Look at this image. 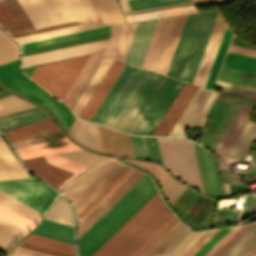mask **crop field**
I'll list each match as a JSON object with an SVG mask.
<instances>
[{
	"label": "crop field",
	"mask_w": 256,
	"mask_h": 256,
	"mask_svg": "<svg viewBox=\"0 0 256 256\" xmlns=\"http://www.w3.org/2000/svg\"><path fill=\"white\" fill-rule=\"evenodd\" d=\"M231 36H232V33H231L229 27L227 26V29H226V31H225L223 40H222V42H221L219 51H218L217 56H216V59H215V61H214L212 70H211V72H210L208 81H207V83H206V86H205L206 88H209V89H212V88H213V85H214V83H215L217 74H218V72H219L221 63H222V61H223L225 52H226V50H227L229 41H230V39H231Z\"/></svg>",
	"instance_id": "c21b1889"
},
{
	"label": "crop field",
	"mask_w": 256,
	"mask_h": 256,
	"mask_svg": "<svg viewBox=\"0 0 256 256\" xmlns=\"http://www.w3.org/2000/svg\"><path fill=\"white\" fill-rule=\"evenodd\" d=\"M58 155L64 158H67L69 160L75 161L77 163H80L82 165H85L89 168L101 160L108 159V157H103V156L88 152L84 149L67 152L63 154H58Z\"/></svg>",
	"instance_id": "5d738f31"
},
{
	"label": "crop field",
	"mask_w": 256,
	"mask_h": 256,
	"mask_svg": "<svg viewBox=\"0 0 256 256\" xmlns=\"http://www.w3.org/2000/svg\"><path fill=\"white\" fill-rule=\"evenodd\" d=\"M212 1H219V0H193L194 4L212 2Z\"/></svg>",
	"instance_id": "c3a83c6f"
},
{
	"label": "crop field",
	"mask_w": 256,
	"mask_h": 256,
	"mask_svg": "<svg viewBox=\"0 0 256 256\" xmlns=\"http://www.w3.org/2000/svg\"><path fill=\"white\" fill-rule=\"evenodd\" d=\"M18 63L19 59L0 65V83L45 107L67 131L73 120L70 112L58 101L50 98L47 92L22 75L18 69Z\"/></svg>",
	"instance_id": "f4fd0767"
},
{
	"label": "crop field",
	"mask_w": 256,
	"mask_h": 256,
	"mask_svg": "<svg viewBox=\"0 0 256 256\" xmlns=\"http://www.w3.org/2000/svg\"><path fill=\"white\" fill-rule=\"evenodd\" d=\"M45 119H49V117L39 108L35 107L26 111L0 117V130L3 131Z\"/></svg>",
	"instance_id": "ae1a2a85"
},
{
	"label": "crop field",
	"mask_w": 256,
	"mask_h": 256,
	"mask_svg": "<svg viewBox=\"0 0 256 256\" xmlns=\"http://www.w3.org/2000/svg\"><path fill=\"white\" fill-rule=\"evenodd\" d=\"M107 40L77 45L23 57L22 67L105 50Z\"/></svg>",
	"instance_id": "cbeb9de0"
},
{
	"label": "crop field",
	"mask_w": 256,
	"mask_h": 256,
	"mask_svg": "<svg viewBox=\"0 0 256 256\" xmlns=\"http://www.w3.org/2000/svg\"><path fill=\"white\" fill-rule=\"evenodd\" d=\"M2 138L0 137V140H1Z\"/></svg>",
	"instance_id": "7312dd0a"
},
{
	"label": "crop field",
	"mask_w": 256,
	"mask_h": 256,
	"mask_svg": "<svg viewBox=\"0 0 256 256\" xmlns=\"http://www.w3.org/2000/svg\"><path fill=\"white\" fill-rule=\"evenodd\" d=\"M163 163L186 184L203 192L194 142L187 139L157 137Z\"/></svg>",
	"instance_id": "dd49c442"
},
{
	"label": "crop field",
	"mask_w": 256,
	"mask_h": 256,
	"mask_svg": "<svg viewBox=\"0 0 256 256\" xmlns=\"http://www.w3.org/2000/svg\"><path fill=\"white\" fill-rule=\"evenodd\" d=\"M196 12L194 5L126 16L127 23Z\"/></svg>",
	"instance_id": "028f5c9d"
},
{
	"label": "crop field",
	"mask_w": 256,
	"mask_h": 256,
	"mask_svg": "<svg viewBox=\"0 0 256 256\" xmlns=\"http://www.w3.org/2000/svg\"><path fill=\"white\" fill-rule=\"evenodd\" d=\"M220 229L211 239H209L193 256H203L222 236H224L230 229Z\"/></svg>",
	"instance_id": "db79e9e6"
},
{
	"label": "crop field",
	"mask_w": 256,
	"mask_h": 256,
	"mask_svg": "<svg viewBox=\"0 0 256 256\" xmlns=\"http://www.w3.org/2000/svg\"><path fill=\"white\" fill-rule=\"evenodd\" d=\"M256 245V239L247 246L238 256H245Z\"/></svg>",
	"instance_id": "c5b07064"
},
{
	"label": "crop field",
	"mask_w": 256,
	"mask_h": 256,
	"mask_svg": "<svg viewBox=\"0 0 256 256\" xmlns=\"http://www.w3.org/2000/svg\"><path fill=\"white\" fill-rule=\"evenodd\" d=\"M96 24L111 26L124 23L117 0H88Z\"/></svg>",
	"instance_id": "00972430"
},
{
	"label": "crop field",
	"mask_w": 256,
	"mask_h": 256,
	"mask_svg": "<svg viewBox=\"0 0 256 256\" xmlns=\"http://www.w3.org/2000/svg\"><path fill=\"white\" fill-rule=\"evenodd\" d=\"M19 237L9 233L8 231L0 228V249L8 252L10 247Z\"/></svg>",
	"instance_id": "78b8030e"
},
{
	"label": "crop field",
	"mask_w": 256,
	"mask_h": 256,
	"mask_svg": "<svg viewBox=\"0 0 256 256\" xmlns=\"http://www.w3.org/2000/svg\"><path fill=\"white\" fill-rule=\"evenodd\" d=\"M89 56L36 66L31 78L63 101Z\"/></svg>",
	"instance_id": "e52e79f7"
},
{
	"label": "crop field",
	"mask_w": 256,
	"mask_h": 256,
	"mask_svg": "<svg viewBox=\"0 0 256 256\" xmlns=\"http://www.w3.org/2000/svg\"><path fill=\"white\" fill-rule=\"evenodd\" d=\"M45 159L48 163L58 166L60 168L66 169L68 171L74 172L76 174L80 173L81 171L85 170L87 167L77 164L75 162L69 161L57 155L47 156Z\"/></svg>",
	"instance_id": "1d79db26"
},
{
	"label": "crop field",
	"mask_w": 256,
	"mask_h": 256,
	"mask_svg": "<svg viewBox=\"0 0 256 256\" xmlns=\"http://www.w3.org/2000/svg\"><path fill=\"white\" fill-rule=\"evenodd\" d=\"M0 185L46 210L57 194L35 178L0 182Z\"/></svg>",
	"instance_id": "d1516ede"
},
{
	"label": "crop field",
	"mask_w": 256,
	"mask_h": 256,
	"mask_svg": "<svg viewBox=\"0 0 256 256\" xmlns=\"http://www.w3.org/2000/svg\"><path fill=\"white\" fill-rule=\"evenodd\" d=\"M227 24L223 21L220 12L204 52L202 61L194 79V84L205 86L213 61L218 51Z\"/></svg>",
	"instance_id": "d9b57169"
},
{
	"label": "crop field",
	"mask_w": 256,
	"mask_h": 256,
	"mask_svg": "<svg viewBox=\"0 0 256 256\" xmlns=\"http://www.w3.org/2000/svg\"><path fill=\"white\" fill-rule=\"evenodd\" d=\"M0 227L8 230L9 232H11V233H13V234H15V235H17L19 237L21 235H23L25 232H27V231H25V230L15 226V225H13L12 223H10V222L2 219V218H0Z\"/></svg>",
	"instance_id": "ae633e8c"
},
{
	"label": "crop field",
	"mask_w": 256,
	"mask_h": 256,
	"mask_svg": "<svg viewBox=\"0 0 256 256\" xmlns=\"http://www.w3.org/2000/svg\"><path fill=\"white\" fill-rule=\"evenodd\" d=\"M11 256H26V255L13 252V254Z\"/></svg>",
	"instance_id": "fb207236"
},
{
	"label": "crop field",
	"mask_w": 256,
	"mask_h": 256,
	"mask_svg": "<svg viewBox=\"0 0 256 256\" xmlns=\"http://www.w3.org/2000/svg\"><path fill=\"white\" fill-rule=\"evenodd\" d=\"M201 232L193 233L184 228L179 222L144 256H177Z\"/></svg>",
	"instance_id": "22f410ed"
},
{
	"label": "crop field",
	"mask_w": 256,
	"mask_h": 256,
	"mask_svg": "<svg viewBox=\"0 0 256 256\" xmlns=\"http://www.w3.org/2000/svg\"><path fill=\"white\" fill-rule=\"evenodd\" d=\"M110 29L111 28L102 27V28L83 31V32H79V33H74V34L64 35V36H60V37L45 39V40H41V41L31 42V43H27V44H22L21 46H22V49H24V48H29V47H34V46L59 42V41H64V40H68V39H73V38H78V37H83V36L108 32V31H110Z\"/></svg>",
	"instance_id": "425ffa30"
},
{
	"label": "crop field",
	"mask_w": 256,
	"mask_h": 256,
	"mask_svg": "<svg viewBox=\"0 0 256 256\" xmlns=\"http://www.w3.org/2000/svg\"><path fill=\"white\" fill-rule=\"evenodd\" d=\"M19 58V47L0 29V64Z\"/></svg>",
	"instance_id": "b54c1fbb"
},
{
	"label": "crop field",
	"mask_w": 256,
	"mask_h": 256,
	"mask_svg": "<svg viewBox=\"0 0 256 256\" xmlns=\"http://www.w3.org/2000/svg\"><path fill=\"white\" fill-rule=\"evenodd\" d=\"M171 211L164 204L150 219H148L119 249L111 256H128L170 215ZM141 245V244H140ZM139 245V246H140ZM138 246V247H139Z\"/></svg>",
	"instance_id": "733c2abd"
},
{
	"label": "crop field",
	"mask_w": 256,
	"mask_h": 256,
	"mask_svg": "<svg viewBox=\"0 0 256 256\" xmlns=\"http://www.w3.org/2000/svg\"><path fill=\"white\" fill-rule=\"evenodd\" d=\"M182 1H188V0H124L121 2H122L123 10L127 11V10L158 6V5H164V4L176 3V2H182Z\"/></svg>",
	"instance_id": "73cf0c24"
},
{
	"label": "crop field",
	"mask_w": 256,
	"mask_h": 256,
	"mask_svg": "<svg viewBox=\"0 0 256 256\" xmlns=\"http://www.w3.org/2000/svg\"><path fill=\"white\" fill-rule=\"evenodd\" d=\"M76 149H81V147L77 146L73 142H70V143H66V144H61V145H57V146L39 149V150L22 152L19 154H20L21 158L24 160V159H28V158L58 154V153L72 151V150H76Z\"/></svg>",
	"instance_id": "d23c7cc5"
},
{
	"label": "crop field",
	"mask_w": 256,
	"mask_h": 256,
	"mask_svg": "<svg viewBox=\"0 0 256 256\" xmlns=\"http://www.w3.org/2000/svg\"><path fill=\"white\" fill-rule=\"evenodd\" d=\"M130 137H131L135 157L147 158L143 138L138 136H132V135H130Z\"/></svg>",
	"instance_id": "0f1d7ab4"
},
{
	"label": "crop field",
	"mask_w": 256,
	"mask_h": 256,
	"mask_svg": "<svg viewBox=\"0 0 256 256\" xmlns=\"http://www.w3.org/2000/svg\"><path fill=\"white\" fill-rule=\"evenodd\" d=\"M80 121H81L80 119H77V118L75 119V121H74V123H73V125H72V127H71V129L69 131V135L71 137H73V135H74V133H75V131H76Z\"/></svg>",
	"instance_id": "ade564c9"
},
{
	"label": "crop field",
	"mask_w": 256,
	"mask_h": 256,
	"mask_svg": "<svg viewBox=\"0 0 256 256\" xmlns=\"http://www.w3.org/2000/svg\"><path fill=\"white\" fill-rule=\"evenodd\" d=\"M241 226L233 227L224 237H222L204 256H211L231 235Z\"/></svg>",
	"instance_id": "c39391a2"
},
{
	"label": "crop field",
	"mask_w": 256,
	"mask_h": 256,
	"mask_svg": "<svg viewBox=\"0 0 256 256\" xmlns=\"http://www.w3.org/2000/svg\"><path fill=\"white\" fill-rule=\"evenodd\" d=\"M102 53L91 55L90 59L86 63L85 67L83 68L82 72L78 76L77 80L73 84L72 88L70 89L69 93L64 99V103L71 108L83 88L85 87L86 83L88 82L89 78L91 77L92 73L94 72L95 68L97 67L102 55Z\"/></svg>",
	"instance_id": "d3111659"
},
{
	"label": "crop field",
	"mask_w": 256,
	"mask_h": 256,
	"mask_svg": "<svg viewBox=\"0 0 256 256\" xmlns=\"http://www.w3.org/2000/svg\"><path fill=\"white\" fill-rule=\"evenodd\" d=\"M0 191L3 192V193H5V194H7V195H9V196H11V197H13V198H15L16 200H18V201H20V202H22V203L28 205L29 207H31V208H33V209H35V210H37V211H39V212H41V213H43V214H44V212L46 211V210H44V209H42V208H40V207L34 205L33 203H31V202H29V201H27V200L21 198L20 196H18V195H16V194L12 193V192H10V191H8L7 189H5V188H3V187H1V186H0Z\"/></svg>",
	"instance_id": "d14b1444"
},
{
	"label": "crop field",
	"mask_w": 256,
	"mask_h": 256,
	"mask_svg": "<svg viewBox=\"0 0 256 256\" xmlns=\"http://www.w3.org/2000/svg\"><path fill=\"white\" fill-rule=\"evenodd\" d=\"M157 20L140 22L137 24L132 41L130 43L125 62L136 66H141L152 33L154 31Z\"/></svg>",
	"instance_id": "4a817a6b"
},
{
	"label": "crop field",
	"mask_w": 256,
	"mask_h": 256,
	"mask_svg": "<svg viewBox=\"0 0 256 256\" xmlns=\"http://www.w3.org/2000/svg\"><path fill=\"white\" fill-rule=\"evenodd\" d=\"M64 136H65L64 133L62 131H60V132L48 134L45 136L29 139L26 141L14 143V146H15V148H18V147L35 144V143H39V142H43V141H47V140H52V139H56V138H60V137H64Z\"/></svg>",
	"instance_id": "7b73153f"
},
{
	"label": "crop field",
	"mask_w": 256,
	"mask_h": 256,
	"mask_svg": "<svg viewBox=\"0 0 256 256\" xmlns=\"http://www.w3.org/2000/svg\"><path fill=\"white\" fill-rule=\"evenodd\" d=\"M126 161L153 174L156 177L159 185L162 184L163 182H165L166 180H168L169 178H171L163 168H161L153 163L129 160V159H126Z\"/></svg>",
	"instance_id": "dbb93151"
},
{
	"label": "crop field",
	"mask_w": 256,
	"mask_h": 256,
	"mask_svg": "<svg viewBox=\"0 0 256 256\" xmlns=\"http://www.w3.org/2000/svg\"><path fill=\"white\" fill-rule=\"evenodd\" d=\"M33 233L73 243V227L57 222L44 219L39 228Z\"/></svg>",
	"instance_id": "1d83c4d3"
},
{
	"label": "crop field",
	"mask_w": 256,
	"mask_h": 256,
	"mask_svg": "<svg viewBox=\"0 0 256 256\" xmlns=\"http://www.w3.org/2000/svg\"><path fill=\"white\" fill-rule=\"evenodd\" d=\"M124 66L125 63L114 60L111 67L103 77L102 81L94 91L93 95L85 105L82 112L80 113V117L90 120L95 110L107 94L108 90L110 89Z\"/></svg>",
	"instance_id": "92a150f3"
},
{
	"label": "crop field",
	"mask_w": 256,
	"mask_h": 256,
	"mask_svg": "<svg viewBox=\"0 0 256 256\" xmlns=\"http://www.w3.org/2000/svg\"><path fill=\"white\" fill-rule=\"evenodd\" d=\"M140 177L141 176L127 170L95 202L106 211Z\"/></svg>",
	"instance_id": "730fd06b"
},
{
	"label": "crop field",
	"mask_w": 256,
	"mask_h": 256,
	"mask_svg": "<svg viewBox=\"0 0 256 256\" xmlns=\"http://www.w3.org/2000/svg\"><path fill=\"white\" fill-rule=\"evenodd\" d=\"M198 86L185 83L153 134L168 135L195 94Z\"/></svg>",
	"instance_id": "bc2a9ffb"
},
{
	"label": "crop field",
	"mask_w": 256,
	"mask_h": 256,
	"mask_svg": "<svg viewBox=\"0 0 256 256\" xmlns=\"http://www.w3.org/2000/svg\"><path fill=\"white\" fill-rule=\"evenodd\" d=\"M179 221L172 214L139 248L130 256H143L152 246H154L170 229Z\"/></svg>",
	"instance_id": "5866460e"
},
{
	"label": "crop field",
	"mask_w": 256,
	"mask_h": 256,
	"mask_svg": "<svg viewBox=\"0 0 256 256\" xmlns=\"http://www.w3.org/2000/svg\"><path fill=\"white\" fill-rule=\"evenodd\" d=\"M255 224V223H254ZM254 224L242 226L232 237H230L212 256H221L226 252L249 228Z\"/></svg>",
	"instance_id": "447ae74e"
},
{
	"label": "crop field",
	"mask_w": 256,
	"mask_h": 256,
	"mask_svg": "<svg viewBox=\"0 0 256 256\" xmlns=\"http://www.w3.org/2000/svg\"><path fill=\"white\" fill-rule=\"evenodd\" d=\"M157 192L147 175L132 186L79 238L80 256H90Z\"/></svg>",
	"instance_id": "ac0d7876"
},
{
	"label": "crop field",
	"mask_w": 256,
	"mask_h": 256,
	"mask_svg": "<svg viewBox=\"0 0 256 256\" xmlns=\"http://www.w3.org/2000/svg\"><path fill=\"white\" fill-rule=\"evenodd\" d=\"M184 82L147 73L113 129L151 135Z\"/></svg>",
	"instance_id": "8a807250"
},
{
	"label": "crop field",
	"mask_w": 256,
	"mask_h": 256,
	"mask_svg": "<svg viewBox=\"0 0 256 256\" xmlns=\"http://www.w3.org/2000/svg\"><path fill=\"white\" fill-rule=\"evenodd\" d=\"M0 217L12 222L13 224L25 229H31L36 223L26 219L25 217L13 212L12 210L0 204Z\"/></svg>",
	"instance_id": "89e229c0"
},
{
	"label": "crop field",
	"mask_w": 256,
	"mask_h": 256,
	"mask_svg": "<svg viewBox=\"0 0 256 256\" xmlns=\"http://www.w3.org/2000/svg\"><path fill=\"white\" fill-rule=\"evenodd\" d=\"M187 15L177 16L174 22L173 28L171 30L169 39L167 41L166 47L164 49L162 58L160 60L159 66L157 68V73L166 74L171 57L173 55L175 46L177 44L179 35L181 33L184 21Z\"/></svg>",
	"instance_id": "bd1437ed"
},
{
	"label": "crop field",
	"mask_w": 256,
	"mask_h": 256,
	"mask_svg": "<svg viewBox=\"0 0 256 256\" xmlns=\"http://www.w3.org/2000/svg\"><path fill=\"white\" fill-rule=\"evenodd\" d=\"M218 10L187 16L167 76L193 82Z\"/></svg>",
	"instance_id": "34b2d1b8"
},
{
	"label": "crop field",
	"mask_w": 256,
	"mask_h": 256,
	"mask_svg": "<svg viewBox=\"0 0 256 256\" xmlns=\"http://www.w3.org/2000/svg\"><path fill=\"white\" fill-rule=\"evenodd\" d=\"M163 204L157 192L91 256H110Z\"/></svg>",
	"instance_id": "3316defc"
},
{
	"label": "crop field",
	"mask_w": 256,
	"mask_h": 256,
	"mask_svg": "<svg viewBox=\"0 0 256 256\" xmlns=\"http://www.w3.org/2000/svg\"><path fill=\"white\" fill-rule=\"evenodd\" d=\"M97 27H101V26L83 24V25L59 29V30H55V31L45 32V33H41V34L17 38L16 40L19 44H22V43L41 40V39H45V38H50V37L60 36V35H64V34L79 32V31H83V30L93 29V28H97Z\"/></svg>",
	"instance_id": "0bd39190"
},
{
	"label": "crop field",
	"mask_w": 256,
	"mask_h": 256,
	"mask_svg": "<svg viewBox=\"0 0 256 256\" xmlns=\"http://www.w3.org/2000/svg\"><path fill=\"white\" fill-rule=\"evenodd\" d=\"M136 24L137 23L113 27L110 41L105 52L106 56L122 61L124 60Z\"/></svg>",
	"instance_id": "a9b5d70f"
},
{
	"label": "crop field",
	"mask_w": 256,
	"mask_h": 256,
	"mask_svg": "<svg viewBox=\"0 0 256 256\" xmlns=\"http://www.w3.org/2000/svg\"><path fill=\"white\" fill-rule=\"evenodd\" d=\"M256 138V124L247 121L230 157L244 159L247 151Z\"/></svg>",
	"instance_id": "d32e631a"
},
{
	"label": "crop field",
	"mask_w": 256,
	"mask_h": 256,
	"mask_svg": "<svg viewBox=\"0 0 256 256\" xmlns=\"http://www.w3.org/2000/svg\"><path fill=\"white\" fill-rule=\"evenodd\" d=\"M35 29L80 21L73 0H18Z\"/></svg>",
	"instance_id": "5a996713"
},
{
	"label": "crop field",
	"mask_w": 256,
	"mask_h": 256,
	"mask_svg": "<svg viewBox=\"0 0 256 256\" xmlns=\"http://www.w3.org/2000/svg\"><path fill=\"white\" fill-rule=\"evenodd\" d=\"M97 128L103 153L134 157L129 135Z\"/></svg>",
	"instance_id": "dafd665d"
},
{
	"label": "crop field",
	"mask_w": 256,
	"mask_h": 256,
	"mask_svg": "<svg viewBox=\"0 0 256 256\" xmlns=\"http://www.w3.org/2000/svg\"><path fill=\"white\" fill-rule=\"evenodd\" d=\"M255 238H256V224L246 234H244L226 253L224 252L225 253V254L223 253L224 255L223 254L222 255L237 256Z\"/></svg>",
	"instance_id": "1f2cbd36"
},
{
	"label": "crop field",
	"mask_w": 256,
	"mask_h": 256,
	"mask_svg": "<svg viewBox=\"0 0 256 256\" xmlns=\"http://www.w3.org/2000/svg\"><path fill=\"white\" fill-rule=\"evenodd\" d=\"M60 131L58 126L51 120H45L34 124L3 131L12 143L41 136L44 134Z\"/></svg>",
	"instance_id": "4177f3b9"
},
{
	"label": "crop field",
	"mask_w": 256,
	"mask_h": 256,
	"mask_svg": "<svg viewBox=\"0 0 256 256\" xmlns=\"http://www.w3.org/2000/svg\"><path fill=\"white\" fill-rule=\"evenodd\" d=\"M175 17L162 18L158 20L147 53L142 63V68L154 72L156 71Z\"/></svg>",
	"instance_id": "5142ce71"
},
{
	"label": "crop field",
	"mask_w": 256,
	"mask_h": 256,
	"mask_svg": "<svg viewBox=\"0 0 256 256\" xmlns=\"http://www.w3.org/2000/svg\"><path fill=\"white\" fill-rule=\"evenodd\" d=\"M113 62V59H109L104 57L102 62L100 63L99 67L97 68L96 72L94 73L93 77L91 78L90 82L88 83L87 87L83 91L82 95L76 102L75 106L73 107L72 111L75 115L78 116L80 111L82 110L83 106L95 90L96 86L108 70L109 66Z\"/></svg>",
	"instance_id": "120bbe31"
},
{
	"label": "crop field",
	"mask_w": 256,
	"mask_h": 256,
	"mask_svg": "<svg viewBox=\"0 0 256 256\" xmlns=\"http://www.w3.org/2000/svg\"><path fill=\"white\" fill-rule=\"evenodd\" d=\"M127 166L115 161L104 162L71 183L65 194L77 215L90 204Z\"/></svg>",
	"instance_id": "412701ff"
},
{
	"label": "crop field",
	"mask_w": 256,
	"mask_h": 256,
	"mask_svg": "<svg viewBox=\"0 0 256 256\" xmlns=\"http://www.w3.org/2000/svg\"><path fill=\"white\" fill-rule=\"evenodd\" d=\"M0 203L36 223L43 215L1 192H0Z\"/></svg>",
	"instance_id": "b80d0937"
},
{
	"label": "crop field",
	"mask_w": 256,
	"mask_h": 256,
	"mask_svg": "<svg viewBox=\"0 0 256 256\" xmlns=\"http://www.w3.org/2000/svg\"><path fill=\"white\" fill-rule=\"evenodd\" d=\"M30 177L20 162L16 161L4 141H0V180Z\"/></svg>",
	"instance_id": "eef30255"
},
{
	"label": "crop field",
	"mask_w": 256,
	"mask_h": 256,
	"mask_svg": "<svg viewBox=\"0 0 256 256\" xmlns=\"http://www.w3.org/2000/svg\"><path fill=\"white\" fill-rule=\"evenodd\" d=\"M145 74L146 71L127 66L92 123L111 128Z\"/></svg>",
	"instance_id": "d8731c3e"
},
{
	"label": "crop field",
	"mask_w": 256,
	"mask_h": 256,
	"mask_svg": "<svg viewBox=\"0 0 256 256\" xmlns=\"http://www.w3.org/2000/svg\"><path fill=\"white\" fill-rule=\"evenodd\" d=\"M24 163L34 174L57 188L59 191L66 182L76 176L74 173L48 164L44 157L26 160ZM60 181L64 182L62 186L58 185Z\"/></svg>",
	"instance_id": "214f88e0"
},
{
	"label": "crop field",
	"mask_w": 256,
	"mask_h": 256,
	"mask_svg": "<svg viewBox=\"0 0 256 256\" xmlns=\"http://www.w3.org/2000/svg\"><path fill=\"white\" fill-rule=\"evenodd\" d=\"M23 241L31 242L34 244H38L41 246L49 247L52 249H56L59 251H63V252H67V253L75 255V249H74L73 244L58 241V240L40 236L37 234L31 233L29 236H27L25 239H23Z\"/></svg>",
	"instance_id": "e1f06a70"
},
{
	"label": "crop field",
	"mask_w": 256,
	"mask_h": 256,
	"mask_svg": "<svg viewBox=\"0 0 256 256\" xmlns=\"http://www.w3.org/2000/svg\"><path fill=\"white\" fill-rule=\"evenodd\" d=\"M253 108L242 106L235 122L225 138L218 154L229 157L246 121Z\"/></svg>",
	"instance_id": "750c4746"
},
{
	"label": "crop field",
	"mask_w": 256,
	"mask_h": 256,
	"mask_svg": "<svg viewBox=\"0 0 256 256\" xmlns=\"http://www.w3.org/2000/svg\"><path fill=\"white\" fill-rule=\"evenodd\" d=\"M34 107V105L12 95L0 99V116L22 109Z\"/></svg>",
	"instance_id": "25e5ab78"
},
{
	"label": "crop field",
	"mask_w": 256,
	"mask_h": 256,
	"mask_svg": "<svg viewBox=\"0 0 256 256\" xmlns=\"http://www.w3.org/2000/svg\"><path fill=\"white\" fill-rule=\"evenodd\" d=\"M215 85L226 87L225 89L226 92L256 98V89L254 88H249V87H244V86H239V85H234V84H229V83H224L219 81H217Z\"/></svg>",
	"instance_id": "9d1cf04e"
},
{
	"label": "crop field",
	"mask_w": 256,
	"mask_h": 256,
	"mask_svg": "<svg viewBox=\"0 0 256 256\" xmlns=\"http://www.w3.org/2000/svg\"><path fill=\"white\" fill-rule=\"evenodd\" d=\"M222 65L256 73V58L253 57L228 52Z\"/></svg>",
	"instance_id": "03da06ac"
},
{
	"label": "crop field",
	"mask_w": 256,
	"mask_h": 256,
	"mask_svg": "<svg viewBox=\"0 0 256 256\" xmlns=\"http://www.w3.org/2000/svg\"><path fill=\"white\" fill-rule=\"evenodd\" d=\"M70 141L71 140H69L67 137H64V138H60V139H56V140H52V141H47V142H43V143H39V144H35V145L18 148L17 150H18V152H21V151L39 149V148H43V147H48V146H52V145L70 142Z\"/></svg>",
	"instance_id": "e1d0b9f6"
},
{
	"label": "crop field",
	"mask_w": 256,
	"mask_h": 256,
	"mask_svg": "<svg viewBox=\"0 0 256 256\" xmlns=\"http://www.w3.org/2000/svg\"><path fill=\"white\" fill-rule=\"evenodd\" d=\"M216 94L199 87L169 136L185 137L186 127L200 128Z\"/></svg>",
	"instance_id": "28ad6ade"
},
{
	"label": "crop field",
	"mask_w": 256,
	"mask_h": 256,
	"mask_svg": "<svg viewBox=\"0 0 256 256\" xmlns=\"http://www.w3.org/2000/svg\"><path fill=\"white\" fill-rule=\"evenodd\" d=\"M160 186L171 205L176 200V198L187 188L172 178Z\"/></svg>",
	"instance_id": "0fb4a251"
},
{
	"label": "crop field",
	"mask_w": 256,
	"mask_h": 256,
	"mask_svg": "<svg viewBox=\"0 0 256 256\" xmlns=\"http://www.w3.org/2000/svg\"><path fill=\"white\" fill-rule=\"evenodd\" d=\"M45 218L73 226L72 213L61 196Z\"/></svg>",
	"instance_id": "c035e120"
},
{
	"label": "crop field",
	"mask_w": 256,
	"mask_h": 256,
	"mask_svg": "<svg viewBox=\"0 0 256 256\" xmlns=\"http://www.w3.org/2000/svg\"><path fill=\"white\" fill-rule=\"evenodd\" d=\"M80 20L83 22L94 23L91 10L87 0H74Z\"/></svg>",
	"instance_id": "0765c3eb"
}]
</instances>
